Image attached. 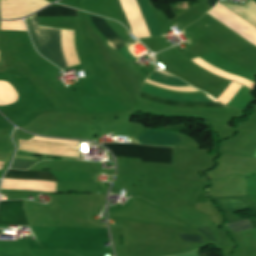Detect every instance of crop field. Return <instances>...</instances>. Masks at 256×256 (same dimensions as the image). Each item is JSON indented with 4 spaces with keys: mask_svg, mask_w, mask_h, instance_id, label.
I'll use <instances>...</instances> for the list:
<instances>
[{
    "mask_svg": "<svg viewBox=\"0 0 256 256\" xmlns=\"http://www.w3.org/2000/svg\"><path fill=\"white\" fill-rule=\"evenodd\" d=\"M149 36L161 35L147 0H135Z\"/></svg>",
    "mask_w": 256,
    "mask_h": 256,
    "instance_id": "5",
    "label": "crop field"
},
{
    "mask_svg": "<svg viewBox=\"0 0 256 256\" xmlns=\"http://www.w3.org/2000/svg\"><path fill=\"white\" fill-rule=\"evenodd\" d=\"M178 234H179L181 240L203 244L200 236L189 235V234H181V233H178Z\"/></svg>",
    "mask_w": 256,
    "mask_h": 256,
    "instance_id": "10",
    "label": "crop field"
},
{
    "mask_svg": "<svg viewBox=\"0 0 256 256\" xmlns=\"http://www.w3.org/2000/svg\"><path fill=\"white\" fill-rule=\"evenodd\" d=\"M227 227L229 228L230 231H233V232H237V231L246 230V229L251 228L250 225H249L248 220L229 223V224H227Z\"/></svg>",
    "mask_w": 256,
    "mask_h": 256,
    "instance_id": "8",
    "label": "crop field"
},
{
    "mask_svg": "<svg viewBox=\"0 0 256 256\" xmlns=\"http://www.w3.org/2000/svg\"><path fill=\"white\" fill-rule=\"evenodd\" d=\"M35 163L36 161L14 158L10 168L28 169Z\"/></svg>",
    "mask_w": 256,
    "mask_h": 256,
    "instance_id": "9",
    "label": "crop field"
},
{
    "mask_svg": "<svg viewBox=\"0 0 256 256\" xmlns=\"http://www.w3.org/2000/svg\"><path fill=\"white\" fill-rule=\"evenodd\" d=\"M203 235H205L211 242H214V239L208 229V227L198 229Z\"/></svg>",
    "mask_w": 256,
    "mask_h": 256,
    "instance_id": "11",
    "label": "crop field"
},
{
    "mask_svg": "<svg viewBox=\"0 0 256 256\" xmlns=\"http://www.w3.org/2000/svg\"><path fill=\"white\" fill-rule=\"evenodd\" d=\"M4 178L58 181L49 171H23L9 169Z\"/></svg>",
    "mask_w": 256,
    "mask_h": 256,
    "instance_id": "6",
    "label": "crop field"
},
{
    "mask_svg": "<svg viewBox=\"0 0 256 256\" xmlns=\"http://www.w3.org/2000/svg\"><path fill=\"white\" fill-rule=\"evenodd\" d=\"M33 16H79V11L66 7H48ZM40 48L62 67L67 68L60 45L61 29L39 26L37 18H30Z\"/></svg>",
    "mask_w": 256,
    "mask_h": 256,
    "instance_id": "1",
    "label": "crop field"
},
{
    "mask_svg": "<svg viewBox=\"0 0 256 256\" xmlns=\"http://www.w3.org/2000/svg\"><path fill=\"white\" fill-rule=\"evenodd\" d=\"M108 147L114 156L141 158L140 162L171 164L173 148L152 147L134 144H103Z\"/></svg>",
    "mask_w": 256,
    "mask_h": 256,
    "instance_id": "2",
    "label": "crop field"
},
{
    "mask_svg": "<svg viewBox=\"0 0 256 256\" xmlns=\"http://www.w3.org/2000/svg\"><path fill=\"white\" fill-rule=\"evenodd\" d=\"M134 142L138 143L136 140H135ZM139 144H140V143H139Z\"/></svg>",
    "mask_w": 256,
    "mask_h": 256,
    "instance_id": "13",
    "label": "crop field"
},
{
    "mask_svg": "<svg viewBox=\"0 0 256 256\" xmlns=\"http://www.w3.org/2000/svg\"><path fill=\"white\" fill-rule=\"evenodd\" d=\"M97 29L117 48L127 46V44L115 33V31L100 18L90 16Z\"/></svg>",
    "mask_w": 256,
    "mask_h": 256,
    "instance_id": "7",
    "label": "crop field"
},
{
    "mask_svg": "<svg viewBox=\"0 0 256 256\" xmlns=\"http://www.w3.org/2000/svg\"><path fill=\"white\" fill-rule=\"evenodd\" d=\"M148 79L157 81L160 83L168 84V85H173L181 88H192L189 85L185 84L181 80L171 77L166 74H162L159 72L154 71ZM139 97H143L145 99H149L152 101H155L157 103H162V104H168L172 106H177V107H223L216 102H177V101H170V100H165L162 98H158L143 92H140Z\"/></svg>",
    "mask_w": 256,
    "mask_h": 256,
    "instance_id": "3",
    "label": "crop field"
},
{
    "mask_svg": "<svg viewBox=\"0 0 256 256\" xmlns=\"http://www.w3.org/2000/svg\"><path fill=\"white\" fill-rule=\"evenodd\" d=\"M178 256H196V252H191V253H187V254H183V255H178Z\"/></svg>",
    "mask_w": 256,
    "mask_h": 256,
    "instance_id": "12",
    "label": "crop field"
},
{
    "mask_svg": "<svg viewBox=\"0 0 256 256\" xmlns=\"http://www.w3.org/2000/svg\"><path fill=\"white\" fill-rule=\"evenodd\" d=\"M0 224L28 225L22 200L0 202Z\"/></svg>",
    "mask_w": 256,
    "mask_h": 256,
    "instance_id": "4",
    "label": "crop field"
}]
</instances>
